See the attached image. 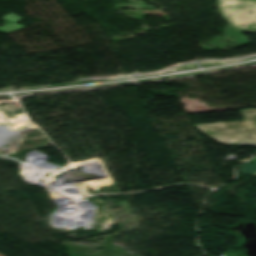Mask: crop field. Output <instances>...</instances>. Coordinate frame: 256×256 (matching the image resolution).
I'll list each match as a JSON object with an SVG mask.
<instances>
[{"label":"crop field","mask_w":256,"mask_h":256,"mask_svg":"<svg viewBox=\"0 0 256 256\" xmlns=\"http://www.w3.org/2000/svg\"><path fill=\"white\" fill-rule=\"evenodd\" d=\"M243 122L196 124L205 136L222 144L256 146V109H241Z\"/></svg>","instance_id":"1"},{"label":"crop field","mask_w":256,"mask_h":256,"mask_svg":"<svg viewBox=\"0 0 256 256\" xmlns=\"http://www.w3.org/2000/svg\"><path fill=\"white\" fill-rule=\"evenodd\" d=\"M216 5L239 31L256 32V0H216Z\"/></svg>","instance_id":"2"},{"label":"crop field","mask_w":256,"mask_h":256,"mask_svg":"<svg viewBox=\"0 0 256 256\" xmlns=\"http://www.w3.org/2000/svg\"><path fill=\"white\" fill-rule=\"evenodd\" d=\"M4 19H1L2 21H4L6 24L0 28L1 32L7 33L16 29H20L23 28V26L15 23L16 21L22 19L20 17H18L17 15L10 13L6 16L3 17Z\"/></svg>","instance_id":"3"},{"label":"crop field","mask_w":256,"mask_h":256,"mask_svg":"<svg viewBox=\"0 0 256 256\" xmlns=\"http://www.w3.org/2000/svg\"><path fill=\"white\" fill-rule=\"evenodd\" d=\"M224 34L226 37H228L230 40H232L235 43L243 44L248 42L243 36H241L235 29H233L230 25L226 26Z\"/></svg>","instance_id":"4"},{"label":"crop field","mask_w":256,"mask_h":256,"mask_svg":"<svg viewBox=\"0 0 256 256\" xmlns=\"http://www.w3.org/2000/svg\"><path fill=\"white\" fill-rule=\"evenodd\" d=\"M238 168L241 173H251L256 170V159L252 163L240 165Z\"/></svg>","instance_id":"5"}]
</instances>
